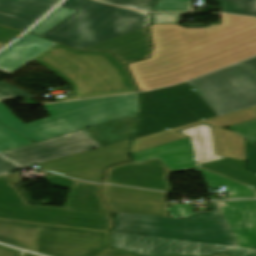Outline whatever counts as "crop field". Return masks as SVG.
I'll use <instances>...</instances> for the list:
<instances>
[{
	"label": "crop field",
	"mask_w": 256,
	"mask_h": 256,
	"mask_svg": "<svg viewBox=\"0 0 256 256\" xmlns=\"http://www.w3.org/2000/svg\"><path fill=\"white\" fill-rule=\"evenodd\" d=\"M167 194L103 185L102 196L118 213L111 231L238 247L215 202L213 212L179 220L167 218Z\"/></svg>",
	"instance_id": "obj_1"
},
{
	"label": "crop field",
	"mask_w": 256,
	"mask_h": 256,
	"mask_svg": "<svg viewBox=\"0 0 256 256\" xmlns=\"http://www.w3.org/2000/svg\"><path fill=\"white\" fill-rule=\"evenodd\" d=\"M58 187L70 189L64 208L29 205L9 175L0 176V218L108 231L109 214L98 196L100 185L60 176L45 177Z\"/></svg>",
	"instance_id": "obj_2"
},
{
	"label": "crop field",
	"mask_w": 256,
	"mask_h": 256,
	"mask_svg": "<svg viewBox=\"0 0 256 256\" xmlns=\"http://www.w3.org/2000/svg\"><path fill=\"white\" fill-rule=\"evenodd\" d=\"M251 56L242 45L154 46L150 59L128 66L143 91L179 83Z\"/></svg>",
	"instance_id": "obj_3"
},
{
	"label": "crop field",
	"mask_w": 256,
	"mask_h": 256,
	"mask_svg": "<svg viewBox=\"0 0 256 256\" xmlns=\"http://www.w3.org/2000/svg\"><path fill=\"white\" fill-rule=\"evenodd\" d=\"M71 85L75 99L137 91L121 62L108 52L55 45L32 59Z\"/></svg>",
	"instance_id": "obj_4"
},
{
	"label": "crop field",
	"mask_w": 256,
	"mask_h": 256,
	"mask_svg": "<svg viewBox=\"0 0 256 256\" xmlns=\"http://www.w3.org/2000/svg\"><path fill=\"white\" fill-rule=\"evenodd\" d=\"M60 7L77 11L42 36L83 49L148 24V13L93 0H65Z\"/></svg>",
	"instance_id": "obj_5"
},
{
	"label": "crop field",
	"mask_w": 256,
	"mask_h": 256,
	"mask_svg": "<svg viewBox=\"0 0 256 256\" xmlns=\"http://www.w3.org/2000/svg\"><path fill=\"white\" fill-rule=\"evenodd\" d=\"M45 107L51 117L23 124L0 102V123L37 142L114 120L104 98L64 102Z\"/></svg>",
	"instance_id": "obj_6"
},
{
	"label": "crop field",
	"mask_w": 256,
	"mask_h": 256,
	"mask_svg": "<svg viewBox=\"0 0 256 256\" xmlns=\"http://www.w3.org/2000/svg\"><path fill=\"white\" fill-rule=\"evenodd\" d=\"M140 95L143 118L134 138L217 116L187 82Z\"/></svg>",
	"instance_id": "obj_7"
},
{
	"label": "crop field",
	"mask_w": 256,
	"mask_h": 256,
	"mask_svg": "<svg viewBox=\"0 0 256 256\" xmlns=\"http://www.w3.org/2000/svg\"><path fill=\"white\" fill-rule=\"evenodd\" d=\"M221 25H150L154 45L242 44L256 55V19L220 14Z\"/></svg>",
	"instance_id": "obj_8"
},
{
	"label": "crop field",
	"mask_w": 256,
	"mask_h": 256,
	"mask_svg": "<svg viewBox=\"0 0 256 256\" xmlns=\"http://www.w3.org/2000/svg\"><path fill=\"white\" fill-rule=\"evenodd\" d=\"M188 83L218 116L256 105V75L240 63Z\"/></svg>",
	"instance_id": "obj_9"
},
{
	"label": "crop field",
	"mask_w": 256,
	"mask_h": 256,
	"mask_svg": "<svg viewBox=\"0 0 256 256\" xmlns=\"http://www.w3.org/2000/svg\"><path fill=\"white\" fill-rule=\"evenodd\" d=\"M253 119H256V113L252 111L250 108H248L227 115H223L217 118L173 128L142 138L133 139L130 152L133 153L158 145H162L165 143H169L172 141L187 138L179 134L178 132L195 126L197 124L205 123L211 125L214 151L216 155L226 156L240 161H245L243 137L239 136L238 134L232 131H227L222 128L237 123L247 122Z\"/></svg>",
	"instance_id": "obj_10"
},
{
	"label": "crop field",
	"mask_w": 256,
	"mask_h": 256,
	"mask_svg": "<svg viewBox=\"0 0 256 256\" xmlns=\"http://www.w3.org/2000/svg\"><path fill=\"white\" fill-rule=\"evenodd\" d=\"M135 163L159 158L172 172L196 170L208 188L226 186L227 199L255 198L254 192L243 185L195 167L190 138L132 154Z\"/></svg>",
	"instance_id": "obj_11"
},
{
	"label": "crop field",
	"mask_w": 256,
	"mask_h": 256,
	"mask_svg": "<svg viewBox=\"0 0 256 256\" xmlns=\"http://www.w3.org/2000/svg\"><path fill=\"white\" fill-rule=\"evenodd\" d=\"M112 246L142 256H206L228 252L231 256H253L256 250L133 236L112 232Z\"/></svg>",
	"instance_id": "obj_12"
},
{
	"label": "crop field",
	"mask_w": 256,
	"mask_h": 256,
	"mask_svg": "<svg viewBox=\"0 0 256 256\" xmlns=\"http://www.w3.org/2000/svg\"><path fill=\"white\" fill-rule=\"evenodd\" d=\"M129 141L39 166L80 180L100 182L104 167L129 160Z\"/></svg>",
	"instance_id": "obj_13"
},
{
	"label": "crop field",
	"mask_w": 256,
	"mask_h": 256,
	"mask_svg": "<svg viewBox=\"0 0 256 256\" xmlns=\"http://www.w3.org/2000/svg\"><path fill=\"white\" fill-rule=\"evenodd\" d=\"M97 147L101 145L79 130L2 154L27 167Z\"/></svg>",
	"instance_id": "obj_14"
},
{
	"label": "crop field",
	"mask_w": 256,
	"mask_h": 256,
	"mask_svg": "<svg viewBox=\"0 0 256 256\" xmlns=\"http://www.w3.org/2000/svg\"><path fill=\"white\" fill-rule=\"evenodd\" d=\"M171 173L159 159L131 162L107 169L104 183L172 192L168 182Z\"/></svg>",
	"instance_id": "obj_15"
},
{
	"label": "crop field",
	"mask_w": 256,
	"mask_h": 256,
	"mask_svg": "<svg viewBox=\"0 0 256 256\" xmlns=\"http://www.w3.org/2000/svg\"><path fill=\"white\" fill-rule=\"evenodd\" d=\"M216 204L239 247L256 249V200Z\"/></svg>",
	"instance_id": "obj_16"
},
{
	"label": "crop field",
	"mask_w": 256,
	"mask_h": 256,
	"mask_svg": "<svg viewBox=\"0 0 256 256\" xmlns=\"http://www.w3.org/2000/svg\"><path fill=\"white\" fill-rule=\"evenodd\" d=\"M61 0H0V24L26 30Z\"/></svg>",
	"instance_id": "obj_17"
},
{
	"label": "crop field",
	"mask_w": 256,
	"mask_h": 256,
	"mask_svg": "<svg viewBox=\"0 0 256 256\" xmlns=\"http://www.w3.org/2000/svg\"><path fill=\"white\" fill-rule=\"evenodd\" d=\"M55 44L27 33L0 52V70L12 73Z\"/></svg>",
	"instance_id": "obj_18"
},
{
	"label": "crop field",
	"mask_w": 256,
	"mask_h": 256,
	"mask_svg": "<svg viewBox=\"0 0 256 256\" xmlns=\"http://www.w3.org/2000/svg\"><path fill=\"white\" fill-rule=\"evenodd\" d=\"M150 49L146 26L83 50H110L126 63L147 57Z\"/></svg>",
	"instance_id": "obj_19"
},
{
	"label": "crop field",
	"mask_w": 256,
	"mask_h": 256,
	"mask_svg": "<svg viewBox=\"0 0 256 256\" xmlns=\"http://www.w3.org/2000/svg\"><path fill=\"white\" fill-rule=\"evenodd\" d=\"M139 115H132L119 120L106 122L82 129L102 146L128 140L138 128Z\"/></svg>",
	"instance_id": "obj_20"
},
{
	"label": "crop field",
	"mask_w": 256,
	"mask_h": 256,
	"mask_svg": "<svg viewBox=\"0 0 256 256\" xmlns=\"http://www.w3.org/2000/svg\"><path fill=\"white\" fill-rule=\"evenodd\" d=\"M42 228V224L0 219V242L35 252Z\"/></svg>",
	"instance_id": "obj_21"
},
{
	"label": "crop field",
	"mask_w": 256,
	"mask_h": 256,
	"mask_svg": "<svg viewBox=\"0 0 256 256\" xmlns=\"http://www.w3.org/2000/svg\"><path fill=\"white\" fill-rule=\"evenodd\" d=\"M180 133L191 138L196 164L222 158L214 155L209 126L197 125Z\"/></svg>",
	"instance_id": "obj_22"
},
{
	"label": "crop field",
	"mask_w": 256,
	"mask_h": 256,
	"mask_svg": "<svg viewBox=\"0 0 256 256\" xmlns=\"http://www.w3.org/2000/svg\"><path fill=\"white\" fill-rule=\"evenodd\" d=\"M244 166L245 163L229 158L200 165L202 168L223 174L256 190V175L243 170Z\"/></svg>",
	"instance_id": "obj_23"
},
{
	"label": "crop field",
	"mask_w": 256,
	"mask_h": 256,
	"mask_svg": "<svg viewBox=\"0 0 256 256\" xmlns=\"http://www.w3.org/2000/svg\"><path fill=\"white\" fill-rule=\"evenodd\" d=\"M116 119L139 113L137 93L106 98Z\"/></svg>",
	"instance_id": "obj_24"
},
{
	"label": "crop field",
	"mask_w": 256,
	"mask_h": 256,
	"mask_svg": "<svg viewBox=\"0 0 256 256\" xmlns=\"http://www.w3.org/2000/svg\"><path fill=\"white\" fill-rule=\"evenodd\" d=\"M221 12L256 17V0H219Z\"/></svg>",
	"instance_id": "obj_25"
},
{
	"label": "crop field",
	"mask_w": 256,
	"mask_h": 256,
	"mask_svg": "<svg viewBox=\"0 0 256 256\" xmlns=\"http://www.w3.org/2000/svg\"><path fill=\"white\" fill-rule=\"evenodd\" d=\"M33 144L0 124V153Z\"/></svg>",
	"instance_id": "obj_26"
},
{
	"label": "crop field",
	"mask_w": 256,
	"mask_h": 256,
	"mask_svg": "<svg viewBox=\"0 0 256 256\" xmlns=\"http://www.w3.org/2000/svg\"><path fill=\"white\" fill-rule=\"evenodd\" d=\"M75 11L67 10L64 8L58 7L56 10H54L50 15H48L44 20H42L38 25H36L30 32H33L37 35H41L71 14H73Z\"/></svg>",
	"instance_id": "obj_27"
},
{
	"label": "crop field",
	"mask_w": 256,
	"mask_h": 256,
	"mask_svg": "<svg viewBox=\"0 0 256 256\" xmlns=\"http://www.w3.org/2000/svg\"><path fill=\"white\" fill-rule=\"evenodd\" d=\"M189 0H158L153 11H191Z\"/></svg>",
	"instance_id": "obj_28"
},
{
	"label": "crop field",
	"mask_w": 256,
	"mask_h": 256,
	"mask_svg": "<svg viewBox=\"0 0 256 256\" xmlns=\"http://www.w3.org/2000/svg\"><path fill=\"white\" fill-rule=\"evenodd\" d=\"M229 130H233L247 140L256 144V120L230 126Z\"/></svg>",
	"instance_id": "obj_29"
},
{
	"label": "crop field",
	"mask_w": 256,
	"mask_h": 256,
	"mask_svg": "<svg viewBox=\"0 0 256 256\" xmlns=\"http://www.w3.org/2000/svg\"><path fill=\"white\" fill-rule=\"evenodd\" d=\"M108 3L119 4L129 8L151 11L155 0H101Z\"/></svg>",
	"instance_id": "obj_30"
},
{
	"label": "crop field",
	"mask_w": 256,
	"mask_h": 256,
	"mask_svg": "<svg viewBox=\"0 0 256 256\" xmlns=\"http://www.w3.org/2000/svg\"><path fill=\"white\" fill-rule=\"evenodd\" d=\"M16 97H22L24 99L34 98V96L1 81L0 82V99L12 100Z\"/></svg>",
	"instance_id": "obj_31"
},
{
	"label": "crop field",
	"mask_w": 256,
	"mask_h": 256,
	"mask_svg": "<svg viewBox=\"0 0 256 256\" xmlns=\"http://www.w3.org/2000/svg\"><path fill=\"white\" fill-rule=\"evenodd\" d=\"M185 14L188 13L153 14L151 24H177Z\"/></svg>",
	"instance_id": "obj_32"
},
{
	"label": "crop field",
	"mask_w": 256,
	"mask_h": 256,
	"mask_svg": "<svg viewBox=\"0 0 256 256\" xmlns=\"http://www.w3.org/2000/svg\"><path fill=\"white\" fill-rule=\"evenodd\" d=\"M171 217L182 219L188 215L195 213L194 208L190 204H177L172 206V208H167Z\"/></svg>",
	"instance_id": "obj_33"
},
{
	"label": "crop field",
	"mask_w": 256,
	"mask_h": 256,
	"mask_svg": "<svg viewBox=\"0 0 256 256\" xmlns=\"http://www.w3.org/2000/svg\"><path fill=\"white\" fill-rule=\"evenodd\" d=\"M245 152H246V161H247V168L246 170L252 171L256 173V146L250 143L249 141L245 140Z\"/></svg>",
	"instance_id": "obj_34"
},
{
	"label": "crop field",
	"mask_w": 256,
	"mask_h": 256,
	"mask_svg": "<svg viewBox=\"0 0 256 256\" xmlns=\"http://www.w3.org/2000/svg\"><path fill=\"white\" fill-rule=\"evenodd\" d=\"M21 33L22 31L0 26V42L7 44Z\"/></svg>",
	"instance_id": "obj_35"
},
{
	"label": "crop field",
	"mask_w": 256,
	"mask_h": 256,
	"mask_svg": "<svg viewBox=\"0 0 256 256\" xmlns=\"http://www.w3.org/2000/svg\"><path fill=\"white\" fill-rule=\"evenodd\" d=\"M20 168L21 167L19 165L11 162L10 160H8L0 155V174L9 172L12 170L20 169Z\"/></svg>",
	"instance_id": "obj_36"
},
{
	"label": "crop field",
	"mask_w": 256,
	"mask_h": 256,
	"mask_svg": "<svg viewBox=\"0 0 256 256\" xmlns=\"http://www.w3.org/2000/svg\"><path fill=\"white\" fill-rule=\"evenodd\" d=\"M21 251L0 245V256H21Z\"/></svg>",
	"instance_id": "obj_37"
},
{
	"label": "crop field",
	"mask_w": 256,
	"mask_h": 256,
	"mask_svg": "<svg viewBox=\"0 0 256 256\" xmlns=\"http://www.w3.org/2000/svg\"><path fill=\"white\" fill-rule=\"evenodd\" d=\"M241 63L245 65L247 68H249L250 70H252L253 72L256 71V57Z\"/></svg>",
	"instance_id": "obj_38"
},
{
	"label": "crop field",
	"mask_w": 256,
	"mask_h": 256,
	"mask_svg": "<svg viewBox=\"0 0 256 256\" xmlns=\"http://www.w3.org/2000/svg\"><path fill=\"white\" fill-rule=\"evenodd\" d=\"M24 256H37V255H33V254H30V253H24Z\"/></svg>",
	"instance_id": "obj_39"
},
{
	"label": "crop field",
	"mask_w": 256,
	"mask_h": 256,
	"mask_svg": "<svg viewBox=\"0 0 256 256\" xmlns=\"http://www.w3.org/2000/svg\"><path fill=\"white\" fill-rule=\"evenodd\" d=\"M4 46H5L4 44H1V43H0V49H1L2 47H4Z\"/></svg>",
	"instance_id": "obj_40"
},
{
	"label": "crop field",
	"mask_w": 256,
	"mask_h": 256,
	"mask_svg": "<svg viewBox=\"0 0 256 256\" xmlns=\"http://www.w3.org/2000/svg\"><path fill=\"white\" fill-rule=\"evenodd\" d=\"M216 256H227L226 254H220V255H216Z\"/></svg>",
	"instance_id": "obj_41"
},
{
	"label": "crop field",
	"mask_w": 256,
	"mask_h": 256,
	"mask_svg": "<svg viewBox=\"0 0 256 256\" xmlns=\"http://www.w3.org/2000/svg\"><path fill=\"white\" fill-rule=\"evenodd\" d=\"M251 109H253L256 112V107H252Z\"/></svg>",
	"instance_id": "obj_42"
},
{
	"label": "crop field",
	"mask_w": 256,
	"mask_h": 256,
	"mask_svg": "<svg viewBox=\"0 0 256 256\" xmlns=\"http://www.w3.org/2000/svg\"><path fill=\"white\" fill-rule=\"evenodd\" d=\"M255 74H256V72H255Z\"/></svg>",
	"instance_id": "obj_43"
},
{
	"label": "crop field",
	"mask_w": 256,
	"mask_h": 256,
	"mask_svg": "<svg viewBox=\"0 0 256 256\" xmlns=\"http://www.w3.org/2000/svg\"><path fill=\"white\" fill-rule=\"evenodd\" d=\"M256 256V255H255Z\"/></svg>",
	"instance_id": "obj_44"
}]
</instances>
